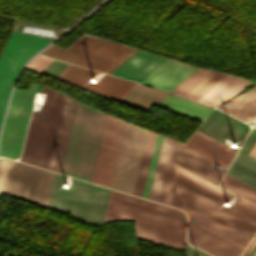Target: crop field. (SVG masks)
I'll list each match as a JSON object with an SVG mask.
<instances>
[{"label": "crop field", "mask_w": 256, "mask_h": 256, "mask_svg": "<svg viewBox=\"0 0 256 256\" xmlns=\"http://www.w3.org/2000/svg\"><path fill=\"white\" fill-rule=\"evenodd\" d=\"M175 178L181 204L252 239L256 232V204L240 197L226 208L223 204L233 195L176 164Z\"/></svg>", "instance_id": "obj_1"}, {"label": "crop field", "mask_w": 256, "mask_h": 256, "mask_svg": "<svg viewBox=\"0 0 256 256\" xmlns=\"http://www.w3.org/2000/svg\"><path fill=\"white\" fill-rule=\"evenodd\" d=\"M114 220H135L137 238L185 250L186 218L180 210L111 190L104 223Z\"/></svg>", "instance_id": "obj_2"}, {"label": "crop field", "mask_w": 256, "mask_h": 256, "mask_svg": "<svg viewBox=\"0 0 256 256\" xmlns=\"http://www.w3.org/2000/svg\"><path fill=\"white\" fill-rule=\"evenodd\" d=\"M106 115L78 102L61 174L91 180Z\"/></svg>", "instance_id": "obj_3"}, {"label": "crop field", "mask_w": 256, "mask_h": 256, "mask_svg": "<svg viewBox=\"0 0 256 256\" xmlns=\"http://www.w3.org/2000/svg\"><path fill=\"white\" fill-rule=\"evenodd\" d=\"M65 177L56 173L48 207L69 212L83 222L102 225L110 190L75 179L65 190Z\"/></svg>", "instance_id": "obj_4"}, {"label": "crop field", "mask_w": 256, "mask_h": 256, "mask_svg": "<svg viewBox=\"0 0 256 256\" xmlns=\"http://www.w3.org/2000/svg\"><path fill=\"white\" fill-rule=\"evenodd\" d=\"M54 175V172L1 158L0 194L47 207Z\"/></svg>", "instance_id": "obj_5"}, {"label": "crop field", "mask_w": 256, "mask_h": 256, "mask_svg": "<svg viewBox=\"0 0 256 256\" xmlns=\"http://www.w3.org/2000/svg\"><path fill=\"white\" fill-rule=\"evenodd\" d=\"M133 48L84 34L68 48L52 45L43 55L105 72Z\"/></svg>", "instance_id": "obj_6"}, {"label": "crop field", "mask_w": 256, "mask_h": 256, "mask_svg": "<svg viewBox=\"0 0 256 256\" xmlns=\"http://www.w3.org/2000/svg\"><path fill=\"white\" fill-rule=\"evenodd\" d=\"M183 208L189 219L187 242L214 256H240L251 240L185 206Z\"/></svg>", "instance_id": "obj_7"}, {"label": "crop field", "mask_w": 256, "mask_h": 256, "mask_svg": "<svg viewBox=\"0 0 256 256\" xmlns=\"http://www.w3.org/2000/svg\"><path fill=\"white\" fill-rule=\"evenodd\" d=\"M52 40L11 32L0 57V125L15 77L26 60Z\"/></svg>", "instance_id": "obj_8"}, {"label": "crop field", "mask_w": 256, "mask_h": 256, "mask_svg": "<svg viewBox=\"0 0 256 256\" xmlns=\"http://www.w3.org/2000/svg\"><path fill=\"white\" fill-rule=\"evenodd\" d=\"M36 86L14 89L1 135L0 154L19 157Z\"/></svg>", "instance_id": "obj_9"}, {"label": "crop field", "mask_w": 256, "mask_h": 256, "mask_svg": "<svg viewBox=\"0 0 256 256\" xmlns=\"http://www.w3.org/2000/svg\"><path fill=\"white\" fill-rule=\"evenodd\" d=\"M147 130L127 124L112 189L133 192Z\"/></svg>", "instance_id": "obj_10"}, {"label": "crop field", "mask_w": 256, "mask_h": 256, "mask_svg": "<svg viewBox=\"0 0 256 256\" xmlns=\"http://www.w3.org/2000/svg\"><path fill=\"white\" fill-rule=\"evenodd\" d=\"M126 124L107 115L92 183L111 187Z\"/></svg>", "instance_id": "obj_11"}, {"label": "crop field", "mask_w": 256, "mask_h": 256, "mask_svg": "<svg viewBox=\"0 0 256 256\" xmlns=\"http://www.w3.org/2000/svg\"><path fill=\"white\" fill-rule=\"evenodd\" d=\"M97 72L68 64L56 80L83 87L91 92L118 102L135 84L129 80L105 74L96 84L90 79Z\"/></svg>", "instance_id": "obj_12"}, {"label": "crop field", "mask_w": 256, "mask_h": 256, "mask_svg": "<svg viewBox=\"0 0 256 256\" xmlns=\"http://www.w3.org/2000/svg\"><path fill=\"white\" fill-rule=\"evenodd\" d=\"M226 170L236 150L196 131L182 147Z\"/></svg>", "instance_id": "obj_13"}, {"label": "crop field", "mask_w": 256, "mask_h": 256, "mask_svg": "<svg viewBox=\"0 0 256 256\" xmlns=\"http://www.w3.org/2000/svg\"><path fill=\"white\" fill-rule=\"evenodd\" d=\"M196 69L198 67L170 58L142 83L170 92Z\"/></svg>", "instance_id": "obj_14"}, {"label": "crop field", "mask_w": 256, "mask_h": 256, "mask_svg": "<svg viewBox=\"0 0 256 256\" xmlns=\"http://www.w3.org/2000/svg\"><path fill=\"white\" fill-rule=\"evenodd\" d=\"M167 59L169 57L141 50L113 75L141 82Z\"/></svg>", "instance_id": "obj_15"}, {"label": "crop field", "mask_w": 256, "mask_h": 256, "mask_svg": "<svg viewBox=\"0 0 256 256\" xmlns=\"http://www.w3.org/2000/svg\"><path fill=\"white\" fill-rule=\"evenodd\" d=\"M226 75L228 74L199 68L171 93L197 100Z\"/></svg>", "instance_id": "obj_16"}, {"label": "crop field", "mask_w": 256, "mask_h": 256, "mask_svg": "<svg viewBox=\"0 0 256 256\" xmlns=\"http://www.w3.org/2000/svg\"><path fill=\"white\" fill-rule=\"evenodd\" d=\"M250 82L248 79L229 74L197 101L215 107L234 96Z\"/></svg>", "instance_id": "obj_17"}, {"label": "crop field", "mask_w": 256, "mask_h": 256, "mask_svg": "<svg viewBox=\"0 0 256 256\" xmlns=\"http://www.w3.org/2000/svg\"><path fill=\"white\" fill-rule=\"evenodd\" d=\"M255 100L256 86L217 108L238 119L249 121L256 118Z\"/></svg>", "instance_id": "obj_18"}, {"label": "crop field", "mask_w": 256, "mask_h": 256, "mask_svg": "<svg viewBox=\"0 0 256 256\" xmlns=\"http://www.w3.org/2000/svg\"><path fill=\"white\" fill-rule=\"evenodd\" d=\"M158 106L170 111H174L201 122L211 112L212 108L197 102L187 100L178 96L169 94Z\"/></svg>", "instance_id": "obj_19"}, {"label": "crop field", "mask_w": 256, "mask_h": 256, "mask_svg": "<svg viewBox=\"0 0 256 256\" xmlns=\"http://www.w3.org/2000/svg\"><path fill=\"white\" fill-rule=\"evenodd\" d=\"M167 95V92L137 84L119 101V103L130 105L148 112L153 104L156 106Z\"/></svg>", "instance_id": "obj_20"}, {"label": "crop field", "mask_w": 256, "mask_h": 256, "mask_svg": "<svg viewBox=\"0 0 256 256\" xmlns=\"http://www.w3.org/2000/svg\"><path fill=\"white\" fill-rule=\"evenodd\" d=\"M183 145V143L173 141L171 142L165 171L158 195V202H162L168 205H172L182 209L180 202L174 192V173H173V155L178 151V149Z\"/></svg>", "instance_id": "obj_21"}, {"label": "crop field", "mask_w": 256, "mask_h": 256, "mask_svg": "<svg viewBox=\"0 0 256 256\" xmlns=\"http://www.w3.org/2000/svg\"><path fill=\"white\" fill-rule=\"evenodd\" d=\"M175 162L216 183L223 172V169L182 148L175 155Z\"/></svg>", "instance_id": "obj_22"}, {"label": "crop field", "mask_w": 256, "mask_h": 256, "mask_svg": "<svg viewBox=\"0 0 256 256\" xmlns=\"http://www.w3.org/2000/svg\"><path fill=\"white\" fill-rule=\"evenodd\" d=\"M76 103L77 101L73 100L72 98L70 97L67 98L59 134L57 137V141H56V145H55V149H54V153H53V157H52V161L49 169L51 171L58 172V173L60 171L65 143H66V139H67V135L70 128Z\"/></svg>", "instance_id": "obj_23"}, {"label": "crop field", "mask_w": 256, "mask_h": 256, "mask_svg": "<svg viewBox=\"0 0 256 256\" xmlns=\"http://www.w3.org/2000/svg\"><path fill=\"white\" fill-rule=\"evenodd\" d=\"M226 174L256 188V160L240 152Z\"/></svg>", "instance_id": "obj_24"}, {"label": "crop field", "mask_w": 256, "mask_h": 256, "mask_svg": "<svg viewBox=\"0 0 256 256\" xmlns=\"http://www.w3.org/2000/svg\"><path fill=\"white\" fill-rule=\"evenodd\" d=\"M155 133L149 132L147 133L145 145H144V150L141 158V163L137 175V180L134 188V195L140 196L142 195L144 183H145V178L148 170V165L152 153V148L155 140Z\"/></svg>", "instance_id": "obj_25"}, {"label": "crop field", "mask_w": 256, "mask_h": 256, "mask_svg": "<svg viewBox=\"0 0 256 256\" xmlns=\"http://www.w3.org/2000/svg\"><path fill=\"white\" fill-rule=\"evenodd\" d=\"M171 140L162 138L148 199L156 201Z\"/></svg>", "instance_id": "obj_26"}, {"label": "crop field", "mask_w": 256, "mask_h": 256, "mask_svg": "<svg viewBox=\"0 0 256 256\" xmlns=\"http://www.w3.org/2000/svg\"><path fill=\"white\" fill-rule=\"evenodd\" d=\"M161 138H162V136L157 134L151 161H150V166H149V170H148V174H147V178H146V183H145V187H144V191H143V195H142V197L146 198V199L148 197V193H149V189H150V185H151V180H152V176H153V172H154V167H155V163H156V159H157V155H158Z\"/></svg>", "instance_id": "obj_27"}, {"label": "crop field", "mask_w": 256, "mask_h": 256, "mask_svg": "<svg viewBox=\"0 0 256 256\" xmlns=\"http://www.w3.org/2000/svg\"><path fill=\"white\" fill-rule=\"evenodd\" d=\"M222 182L256 198V189L228 176L225 174L224 178L222 179Z\"/></svg>", "instance_id": "obj_28"}, {"label": "crop field", "mask_w": 256, "mask_h": 256, "mask_svg": "<svg viewBox=\"0 0 256 256\" xmlns=\"http://www.w3.org/2000/svg\"><path fill=\"white\" fill-rule=\"evenodd\" d=\"M52 61V59L37 56L28 64L26 69L40 74Z\"/></svg>", "instance_id": "obj_29"}, {"label": "crop field", "mask_w": 256, "mask_h": 256, "mask_svg": "<svg viewBox=\"0 0 256 256\" xmlns=\"http://www.w3.org/2000/svg\"><path fill=\"white\" fill-rule=\"evenodd\" d=\"M220 185L256 203L255 199H253V198H251V197H249V196H247V195H245V194H243V193H241V192H239V191H237V190H235V189H233V188H231V187H229V186H227L223 183H220Z\"/></svg>", "instance_id": "obj_30"}, {"label": "crop field", "mask_w": 256, "mask_h": 256, "mask_svg": "<svg viewBox=\"0 0 256 256\" xmlns=\"http://www.w3.org/2000/svg\"><path fill=\"white\" fill-rule=\"evenodd\" d=\"M256 243V237L254 238V240L251 242V244L249 245V247L246 249V251L244 252V254L242 256H247V254L249 253V251L251 250V248L253 247V245Z\"/></svg>", "instance_id": "obj_31"}, {"label": "crop field", "mask_w": 256, "mask_h": 256, "mask_svg": "<svg viewBox=\"0 0 256 256\" xmlns=\"http://www.w3.org/2000/svg\"><path fill=\"white\" fill-rule=\"evenodd\" d=\"M249 155H251V156L256 158V142L253 145L252 149L250 150Z\"/></svg>", "instance_id": "obj_32"}, {"label": "crop field", "mask_w": 256, "mask_h": 256, "mask_svg": "<svg viewBox=\"0 0 256 256\" xmlns=\"http://www.w3.org/2000/svg\"><path fill=\"white\" fill-rule=\"evenodd\" d=\"M253 256H256V251H255V253L253 254Z\"/></svg>", "instance_id": "obj_33"}, {"label": "crop field", "mask_w": 256, "mask_h": 256, "mask_svg": "<svg viewBox=\"0 0 256 256\" xmlns=\"http://www.w3.org/2000/svg\"><path fill=\"white\" fill-rule=\"evenodd\" d=\"M254 127H256V123H255Z\"/></svg>", "instance_id": "obj_34"}]
</instances>
